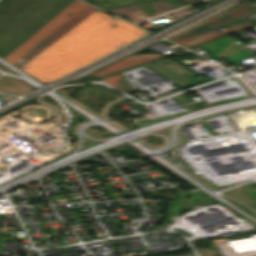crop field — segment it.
Here are the masks:
<instances>
[{"mask_svg": "<svg viewBox=\"0 0 256 256\" xmlns=\"http://www.w3.org/2000/svg\"><path fill=\"white\" fill-rule=\"evenodd\" d=\"M71 1L0 0V57L10 53Z\"/></svg>", "mask_w": 256, "mask_h": 256, "instance_id": "crop-field-2", "label": "crop field"}, {"mask_svg": "<svg viewBox=\"0 0 256 256\" xmlns=\"http://www.w3.org/2000/svg\"><path fill=\"white\" fill-rule=\"evenodd\" d=\"M182 1H184V2H186V3H188V4H190V3H193V2H196V1H199V0H182Z\"/></svg>", "mask_w": 256, "mask_h": 256, "instance_id": "crop-field-8", "label": "crop field"}, {"mask_svg": "<svg viewBox=\"0 0 256 256\" xmlns=\"http://www.w3.org/2000/svg\"><path fill=\"white\" fill-rule=\"evenodd\" d=\"M88 1H92V0H88Z\"/></svg>", "mask_w": 256, "mask_h": 256, "instance_id": "crop-field-10", "label": "crop field"}, {"mask_svg": "<svg viewBox=\"0 0 256 256\" xmlns=\"http://www.w3.org/2000/svg\"><path fill=\"white\" fill-rule=\"evenodd\" d=\"M184 5H187V4H184ZM181 6H183V5H181ZM180 7V6H179ZM177 8V7H176Z\"/></svg>", "mask_w": 256, "mask_h": 256, "instance_id": "crop-field-9", "label": "crop field"}, {"mask_svg": "<svg viewBox=\"0 0 256 256\" xmlns=\"http://www.w3.org/2000/svg\"><path fill=\"white\" fill-rule=\"evenodd\" d=\"M96 10L74 0L3 59L20 68Z\"/></svg>", "mask_w": 256, "mask_h": 256, "instance_id": "crop-field-3", "label": "crop field"}, {"mask_svg": "<svg viewBox=\"0 0 256 256\" xmlns=\"http://www.w3.org/2000/svg\"><path fill=\"white\" fill-rule=\"evenodd\" d=\"M110 18L96 11L20 69L40 81L50 82L117 49L120 43L143 36V30Z\"/></svg>", "mask_w": 256, "mask_h": 256, "instance_id": "crop-field-1", "label": "crop field"}, {"mask_svg": "<svg viewBox=\"0 0 256 256\" xmlns=\"http://www.w3.org/2000/svg\"><path fill=\"white\" fill-rule=\"evenodd\" d=\"M163 56L162 54H140V55H131L126 58H123L103 69H100L92 74H90L93 77H99L150 59H154L157 57Z\"/></svg>", "mask_w": 256, "mask_h": 256, "instance_id": "crop-field-6", "label": "crop field"}, {"mask_svg": "<svg viewBox=\"0 0 256 256\" xmlns=\"http://www.w3.org/2000/svg\"><path fill=\"white\" fill-rule=\"evenodd\" d=\"M254 17H256V6L251 2H247L218 13L169 37V39L185 47H190L214 37L251 25V20ZM220 28L225 30L219 31L218 29Z\"/></svg>", "mask_w": 256, "mask_h": 256, "instance_id": "crop-field-4", "label": "crop field"}, {"mask_svg": "<svg viewBox=\"0 0 256 256\" xmlns=\"http://www.w3.org/2000/svg\"><path fill=\"white\" fill-rule=\"evenodd\" d=\"M102 81L107 84H110L114 87H119V88H121L122 91H124L126 93L133 91V89L128 84V82L125 80V78L122 76V74H117V75L105 78Z\"/></svg>", "mask_w": 256, "mask_h": 256, "instance_id": "crop-field-7", "label": "crop field"}, {"mask_svg": "<svg viewBox=\"0 0 256 256\" xmlns=\"http://www.w3.org/2000/svg\"><path fill=\"white\" fill-rule=\"evenodd\" d=\"M198 47L216 58H223L230 63L247 58V56L253 54L230 36L204 43Z\"/></svg>", "mask_w": 256, "mask_h": 256, "instance_id": "crop-field-5", "label": "crop field"}]
</instances>
